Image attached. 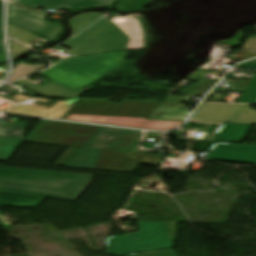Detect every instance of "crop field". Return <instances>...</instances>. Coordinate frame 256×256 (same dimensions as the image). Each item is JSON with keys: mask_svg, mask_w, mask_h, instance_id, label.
I'll return each mask as SVG.
<instances>
[{"mask_svg": "<svg viewBox=\"0 0 256 256\" xmlns=\"http://www.w3.org/2000/svg\"><path fill=\"white\" fill-rule=\"evenodd\" d=\"M92 175L0 167V191L75 201Z\"/></svg>", "mask_w": 256, "mask_h": 256, "instance_id": "1", "label": "crop field"}, {"mask_svg": "<svg viewBox=\"0 0 256 256\" xmlns=\"http://www.w3.org/2000/svg\"><path fill=\"white\" fill-rule=\"evenodd\" d=\"M72 56L143 48V32L137 18H102L62 44Z\"/></svg>", "mask_w": 256, "mask_h": 256, "instance_id": "2", "label": "crop field"}, {"mask_svg": "<svg viewBox=\"0 0 256 256\" xmlns=\"http://www.w3.org/2000/svg\"><path fill=\"white\" fill-rule=\"evenodd\" d=\"M128 52L69 58L41 74L75 91L116 70Z\"/></svg>", "mask_w": 256, "mask_h": 256, "instance_id": "3", "label": "crop field"}, {"mask_svg": "<svg viewBox=\"0 0 256 256\" xmlns=\"http://www.w3.org/2000/svg\"><path fill=\"white\" fill-rule=\"evenodd\" d=\"M142 132L99 127L65 166L93 169L103 150L135 153Z\"/></svg>", "mask_w": 256, "mask_h": 256, "instance_id": "4", "label": "crop field"}, {"mask_svg": "<svg viewBox=\"0 0 256 256\" xmlns=\"http://www.w3.org/2000/svg\"><path fill=\"white\" fill-rule=\"evenodd\" d=\"M141 235L125 238H111L106 253L119 255L169 248L167 230L164 223L138 221Z\"/></svg>", "mask_w": 256, "mask_h": 256, "instance_id": "5", "label": "crop field"}, {"mask_svg": "<svg viewBox=\"0 0 256 256\" xmlns=\"http://www.w3.org/2000/svg\"><path fill=\"white\" fill-rule=\"evenodd\" d=\"M110 100L78 98L66 113L116 115L149 118L161 102L124 100L120 106Z\"/></svg>", "mask_w": 256, "mask_h": 256, "instance_id": "6", "label": "crop field"}, {"mask_svg": "<svg viewBox=\"0 0 256 256\" xmlns=\"http://www.w3.org/2000/svg\"><path fill=\"white\" fill-rule=\"evenodd\" d=\"M191 120L256 124V111L248 105L200 104Z\"/></svg>", "mask_w": 256, "mask_h": 256, "instance_id": "7", "label": "crop field"}, {"mask_svg": "<svg viewBox=\"0 0 256 256\" xmlns=\"http://www.w3.org/2000/svg\"><path fill=\"white\" fill-rule=\"evenodd\" d=\"M47 15V13L23 9L9 3V22L54 41L62 34L63 27L43 20Z\"/></svg>", "mask_w": 256, "mask_h": 256, "instance_id": "8", "label": "crop field"}, {"mask_svg": "<svg viewBox=\"0 0 256 256\" xmlns=\"http://www.w3.org/2000/svg\"><path fill=\"white\" fill-rule=\"evenodd\" d=\"M73 120L113 124L120 126L136 127L151 130H167L180 125L182 122L147 120L142 118L116 117V116H97V115H77Z\"/></svg>", "mask_w": 256, "mask_h": 256, "instance_id": "9", "label": "crop field"}, {"mask_svg": "<svg viewBox=\"0 0 256 256\" xmlns=\"http://www.w3.org/2000/svg\"><path fill=\"white\" fill-rule=\"evenodd\" d=\"M205 159L256 164V145L215 143Z\"/></svg>", "mask_w": 256, "mask_h": 256, "instance_id": "10", "label": "crop field"}, {"mask_svg": "<svg viewBox=\"0 0 256 256\" xmlns=\"http://www.w3.org/2000/svg\"><path fill=\"white\" fill-rule=\"evenodd\" d=\"M138 160L139 155L103 151L94 169L131 173Z\"/></svg>", "mask_w": 256, "mask_h": 256, "instance_id": "11", "label": "crop field"}, {"mask_svg": "<svg viewBox=\"0 0 256 256\" xmlns=\"http://www.w3.org/2000/svg\"><path fill=\"white\" fill-rule=\"evenodd\" d=\"M30 8H88L107 6L113 0H11Z\"/></svg>", "mask_w": 256, "mask_h": 256, "instance_id": "12", "label": "crop field"}, {"mask_svg": "<svg viewBox=\"0 0 256 256\" xmlns=\"http://www.w3.org/2000/svg\"><path fill=\"white\" fill-rule=\"evenodd\" d=\"M252 125L222 124L213 142L241 143Z\"/></svg>", "mask_w": 256, "mask_h": 256, "instance_id": "13", "label": "crop field"}, {"mask_svg": "<svg viewBox=\"0 0 256 256\" xmlns=\"http://www.w3.org/2000/svg\"><path fill=\"white\" fill-rule=\"evenodd\" d=\"M185 106L178 102H164L156 109L149 119L184 121L189 112L180 111L179 108Z\"/></svg>", "mask_w": 256, "mask_h": 256, "instance_id": "14", "label": "crop field"}, {"mask_svg": "<svg viewBox=\"0 0 256 256\" xmlns=\"http://www.w3.org/2000/svg\"><path fill=\"white\" fill-rule=\"evenodd\" d=\"M43 198L0 192V206L35 208Z\"/></svg>", "mask_w": 256, "mask_h": 256, "instance_id": "15", "label": "crop field"}, {"mask_svg": "<svg viewBox=\"0 0 256 256\" xmlns=\"http://www.w3.org/2000/svg\"><path fill=\"white\" fill-rule=\"evenodd\" d=\"M102 15H104V13L94 12V13H86V14L77 15V16L69 19L67 22H68L70 29L72 30L71 36H74L81 30H83L84 28L88 27L90 24H92L94 21H96Z\"/></svg>", "mask_w": 256, "mask_h": 256, "instance_id": "16", "label": "crop field"}, {"mask_svg": "<svg viewBox=\"0 0 256 256\" xmlns=\"http://www.w3.org/2000/svg\"><path fill=\"white\" fill-rule=\"evenodd\" d=\"M23 139L0 137V160L8 161Z\"/></svg>", "mask_w": 256, "mask_h": 256, "instance_id": "17", "label": "crop field"}, {"mask_svg": "<svg viewBox=\"0 0 256 256\" xmlns=\"http://www.w3.org/2000/svg\"><path fill=\"white\" fill-rule=\"evenodd\" d=\"M8 32H9V36L13 37L25 44L29 43L32 40L38 39L39 37L23 30L17 27H14L10 24H8Z\"/></svg>", "mask_w": 256, "mask_h": 256, "instance_id": "18", "label": "crop field"}, {"mask_svg": "<svg viewBox=\"0 0 256 256\" xmlns=\"http://www.w3.org/2000/svg\"><path fill=\"white\" fill-rule=\"evenodd\" d=\"M238 102L256 103V74L244 90Z\"/></svg>", "mask_w": 256, "mask_h": 256, "instance_id": "19", "label": "crop field"}, {"mask_svg": "<svg viewBox=\"0 0 256 256\" xmlns=\"http://www.w3.org/2000/svg\"><path fill=\"white\" fill-rule=\"evenodd\" d=\"M150 152L155 153V151H143L138 164L160 166L163 162V156L149 154Z\"/></svg>", "mask_w": 256, "mask_h": 256, "instance_id": "20", "label": "crop field"}, {"mask_svg": "<svg viewBox=\"0 0 256 256\" xmlns=\"http://www.w3.org/2000/svg\"><path fill=\"white\" fill-rule=\"evenodd\" d=\"M120 256H176V254L171 249H167V250L143 252V253H136V254L120 255Z\"/></svg>", "mask_w": 256, "mask_h": 256, "instance_id": "21", "label": "crop field"}, {"mask_svg": "<svg viewBox=\"0 0 256 256\" xmlns=\"http://www.w3.org/2000/svg\"><path fill=\"white\" fill-rule=\"evenodd\" d=\"M253 56H256V52L241 49L231 57L236 58V59H240V60H244V59H247V58H250V57H253Z\"/></svg>", "mask_w": 256, "mask_h": 256, "instance_id": "22", "label": "crop field"}, {"mask_svg": "<svg viewBox=\"0 0 256 256\" xmlns=\"http://www.w3.org/2000/svg\"><path fill=\"white\" fill-rule=\"evenodd\" d=\"M10 44H11V49H13V51H11L12 57H15V56L29 50V49L25 48L24 46L17 44L13 41H10Z\"/></svg>", "mask_w": 256, "mask_h": 256, "instance_id": "23", "label": "crop field"}, {"mask_svg": "<svg viewBox=\"0 0 256 256\" xmlns=\"http://www.w3.org/2000/svg\"><path fill=\"white\" fill-rule=\"evenodd\" d=\"M238 68L254 69L256 70V60L237 66Z\"/></svg>", "mask_w": 256, "mask_h": 256, "instance_id": "24", "label": "crop field"}, {"mask_svg": "<svg viewBox=\"0 0 256 256\" xmlns=\"http://www.w3.org/2000/svg\"><path fill=\"white\" fill-rule=\"evenodd\" d=\"M193 98L189 97H168L166 100H171V101H179V102H189Z\"/></svg>", "mask_w": 256, "mask_h": 256, "instance_id": "25", "label": "crop field"}, {"mask_svg": "<svg viewBox=\"0 0 256 256\" xmlns=\"http://www.w3.org/2000/svg\"><path fill=\"white\" fill-rule=\"evenodd\" d=\"M175 224L176 223H166V226L170 229V232H172V234H171L172 237H174V234H175V227H173V225H175ZM167 245L171 248L172 241H171V243H169Z\"/></svg>", "mask_w": 256, "mask_h": 256, "instance_id": "26", "label": "crop field"}, {"mask_svg": "<svg viewBox=\"0 0 256 256\" xmlns=\"http://www.w3.org/2000/svg\"><path fill=\"white\" fill-rule=\"evenodd\" d=\"M4 61H6V59H5L3 44L2 42H0V62H4Z\"/></svg>", "mask_w": 256, "mask_h": 256, "instance_id": "27", "label": "crop field"}, {"mask_svg": "<svg viewBox=\"0 0 256 256\" xmlns=\"http://www.w3.org/2000/svg\"><path fill=\"white\" fill-rule=\"evenodd\" d=\"M75 116H76V115H74V114H70L66 119L72 120Z\"/></svg>", "mask_w": 256, "mask_h": 256, "instance_id": "28", "label": "crop field"}, {"mask_svg": "<svg viewBox=\"0 0 256 256\" xmlns=\"http://www.w3.org/2000/svg\"><path fill=\"white\" fill-rule=\"evenodd\" d=\"M0 41H2V37H1V10H0Z\"/></svg>", "mask_w": 256, "mask_h": 256, "instance_id": "29", "label": "crop field"}, {"mask_svg": "<svg viewBox=\"0 0 256 256\" xmlns=\"http://www.w3.org/2000/svg\"><path fill=\"white\" fill-rule=\"evenodd\" d=\"M140 234L139 232H136V233H132V234H129V235H125V237H128V236H133V235H138Z\"/></svg>", "mask_w": 256, "mask_h": 256, "instance_id": "30", "label": "crop field"}]
</instances>
